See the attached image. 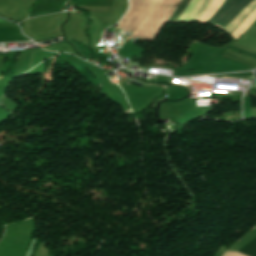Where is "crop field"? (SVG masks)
Returning a JSON list of instances; mask_svg holds the SVG:
<instances>
[{
    "mask_svg": "<svg viewBox=\"0 0 256 256\" xmlns=\"http://www.w3.org/2000/svg\"><path fill=\"white\" fill-rule=\"evenodd\" d=\"M240 0H226L223 5L218 9L215 15L208 22L215 25L228 11H230ZM252 0H241L229 13H227L218 23L224 27L227 25L247 4Z\"/></svg>",
    "mask_w": 256,
    "mask_h": 256,
    "instance_id": "1",
    "label": "crop field"
},
{
    "mask_svg": "<svg viewBox=\"0 0 256 256\" xmlns=\"http://www.w3.org/2000/svg\"><path fill=\"white\" fill-rule=\"evenodd\" d=\"M239 252L248 256H256V238L244 246Z\"/></svg>",
    "mask_w": 256,
    "mask_h": 256,
    "instance_id": "2",
    "label": "crop field"
},
{
    "mask_svg": "<svg viewBox=\"0 0 256 256\" xmlns=\"http://www.w3.org/2000/svg\"><path fill=\"white\" fill-rule=\"evenodd\" d=\"M189 2L190 0H183L181 4L178 6V8L176 9L175 13L169 19V22H175Z\"/></svg>",
    "mask_w": 256,
    "mask_h": 256,
    "instance_id": "3",
    "label": "crop field"
}]
</instances>
